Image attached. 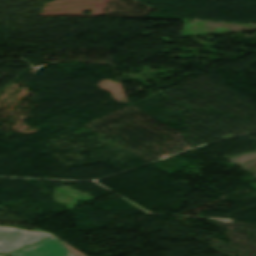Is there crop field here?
Here are the masks:
<instances>
[{"label": "crop field", "instance_id": "obj_2", "mask_svg": "<svg viewBox=\"0 0 256 256\" xmlns=\"http://www.w3.org/2000/svg\"><path fill=\"white\" fill-rule=\"evenodd\" d=\"M10 256H73L54 236Z\"/></svg>", "mask_w": 256, "mask_h": 256}, {"label": "crop field", "instance_id": "obj_1", "mask_svg": "<svg viewBox=\"0 0 256 256\" xmlns=\"http://www.w3.org/2000/svg\"><path fill=\"white\" fill-rule=\"evenodd\" d=\"M51 236L46 232H26L0 227V254L10 253Z\"/></svg>", "mask_w": 256, "mask_h": 256}]
</instances>
